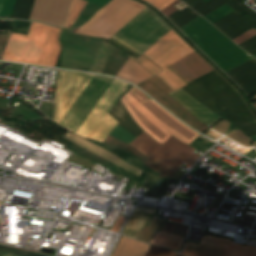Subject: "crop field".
I'll return each instance as SVG.
<instances>
[{
    "instance_id": "15",
    "label": "crop field",
    "mask_w": 256,
    "mask_h": 256,
    "mask_svg": "<svg viewBox=\"0 0 256 256\" xmlns=\"http://www.w3.org/2000/svg\"><path fill=\"white\" fill-rule=\"evenodd\" d=\"M214 25L232 40L248 29L256 28V14L249 9L239 15L233 11Z\"/></svg>"
},
{
    "instance_id": "7",
    "label": "crop field",
    "mask_w": 256,
    "mask_h": 256,
    "mask_svg": "<svg viewBox=\"0 0 256 256\" xmlns=\"http://www.w3.org/2000/svg\"><path fill=\"white\" fill-rule=\"evenodd\" d=\"M170 30L145 8L111 38L141 55Z\"/></svg>"
},
{
    "instance_id": "13",
    "label": "crop field",
    "mask_w": 256,
    "mask_h": 256,
    "mask_svg": "<svg viewBox=\"0 0 256 256\" xmlns=\"http://www.w3.org/2000/svg\"><path fill=\"white\" fill-rule=\"evenodd\" d=\"M108 80V77L94 75L59 124L71 131Z\"/></svg>"
},
{
    "instance_id": "3",
    "label": "crop field",
    "mask_w": 256,
    "mask_h": 256,
    "mask_svg": "<svg viewBox=\"0 0 256 256\" xmlns=\"http://www.w3.org/2000/svg\"><path fill=\"white\" fill-rule=\"evenodd\" d=\"M145 99L148 98L138 89L133 87L121 101L127 108L131 117L136 121V123L159 143L162 144L170 135L165 132L158 124L170 132L174 137L187 144H189L198 136V134L185 127L152 100L140 103L165 126L190 142L173 133L162 123H160L153 115H151L144 107L137 103Z\"/></svg>"
},
{
    "instance_id": "35",
    "label": "crop field",
    "mask_w": 256,
    "mask_h": 256,
    "mask_svg": "<svg viewBox=\"0 0 256 256\" xmlns=\"http://www.w3.org/2000/svg\"><path fill=\"white\" fill-rule=\"evenodd\" d=\"M253 57H255V58H256V55H255V56H253Z\"/></svg>"
},
{
    "instance_id": "33",
    "label": "crop field",
    "mask_w": 256,
    "mask_h": 256,
    "mask_svg": "<svg viewBox=\"0 0 256 256\" xmlns=\"http://www.w3.org/2000/svg\"><path fill=\"white\" fill-rule=\"evenodd\" d=\"M3 3H4V0H0V13H1V9H2Z\"/></svg>"
},
{
    "instance_id": "10",
    "label": "crop field",
    "mask_w": 256,
    "mask_h": 256,
    "mask_svg": "<svg viewBox=\"0 0 256 256\" xmlns=\"http://www.w3.org/2000/svg\"><path fill=\"white\" fill-rule=\"evenodd\" d=\"M92 76L91 74L58 70L53 121L59 122Z\"/></svg>"
},
{
    "instance_id": "16",
    "label": "crop field",
    "mask_w": 256,
    "mask_h": 256,
    "mask_svg": "<svg viewBox=\"0 0 256 256\" xmlns=\"http://www.w3.org/2000/svg\"><path fill=\"white\" fill-rule=\"evenodd\" d=\"M133 59L141 64L143 67H145L153 75L163 71L154 64H152L147 58L142 55L137 59L130 56L128 61L124 63L121 70L117 74V77L137 84L153 76L141 66H139Z\"/></svg>"
},
{
    "instance_id": "5",
    "label": "crop field",
    "mask_w": 256,
    "mask_h": 256,
    "mask_svg": "<svg viewBox=\"0 0 256 256\" xmlns=\"http://www.w3.org/2000/svg\"><path fill=\"white\" fill-rule=\"evenodd\" d=\"M129 145L148 157L144 164L160 173L162 177L171 178L183 162L192 166L200 157L193 153L195 149L171 136L159 145L143 132Z\"/></svg>"
},
{
    "instance_id": "14",
    "label": "crop field",
    "mask_w": 256,
    "mask_h": 256,
    "mask_svg": "<svg viewBox=\"0 0 256 256\" xmlns=\"http://www.w3.org/2000/svg\"><path fill=\"white\" fill-rule=\"evenodd\" d=\"M164 221L165 219L156 215H154L153 218H150L133 214L121 234L149 243Z\"/></svg>"
},
{
    "instance_id": "17",
    "label": "crop field",
    "mask_w": 256,
    "mask_h": 256,
    "mask_svg": "<svg viewBox=\"0 0 256 256\" xmlns=\"http://www.w3.org/2000/svg\"><path fill=\"white\" fill-rule=\"evenodd\" d=\"M169 67L187 82L214 70L195 51Z\"/></svg>"
},
{
    "instance_id": "36",
    "label": "crop field",
    "mask_w": 256,
    "mask_h": 256,
    "mask_svg": "<svg viewBox=\"0 0 256 256\" xmlns=\"http://www.w3.org/2000/svg\"><path fill=\"white\" fill-rule=\"evenodd\" d=\"M255 106H256V103H255Z\"/></svg>"
},
{
    "instance_id": "19",
    "label": "crop field",
    "mask_w": 256,
    "mask_h": 256,
    "mask_svg": "<svg viewBox=\"0 0 256 256\" xmlns=\"http://www.w3.org/2000/svg\"><path fill=\"white\" fill-rule=\"evenodd\" d=\"M162 230L178 233L184 235V232L186 230V227L180 226V225H174V224H168L164 223V225L161 227ZM160 230L157 235L152 239L150 244L162 246L165 248L173 249V250H179L182 242H183V236L162 231Z\"/></svg>"
},
{
    "instance_id": "27",
    "label": "crop field",
    "mask_w": 256,
    "mask_h": 256,
    "mask_svg": "<svg viewBox=\"0 0 256 256\" xmlns=\"http://www.w3.org/2000/svg\"><path fill=\"white\" fill-rule=\"evenodd\" d=\"M109 135H111L127 144H129L135 138L118 125L114 128V130Z\"/></svg>"
},
{
    "instance_id": "8",
    "label": "crop field",
    "mask_w": 256,
    "mask_h": 256,
    "mask_svg": "<svg viewBox=\"0 0 256 256\" xmlns=\"http://www.w3.org/2000/svg\"><path fill=\"white\" fill-rule=\"evenodd\" d=\"M176 35L171 30L143 53L144 56L164 70L157 75L174 90L187 85V83L167 66L194 51Z\"/></svg>"
},
{
    "instance_id": "26",
    "label": "crop field",
    "mask_w": 256,
    "mask_h": 256,
    "mask_svg": "<svg viewBox=\"0 0 256 256\" xmlns=\"http://www.w3.org/2000/svg\"><path fill=\"white\" fill-rule=\"evenodd\" d=\"M113 81L114 79L110 78V80L107 82L102 91L99 93L94 102L91 104V106L88 108L86 113L83 115V117L80 119V121L77 123V125L73 128L71 132L75 133V131L78 129V127L81 125V123L84 121V119L87 117V115L90 113V111L93 109V107L96 105V103L99 101V99L102 97V95L105 93V91L108 89V87L111 85Z\"/></svg>"
},
{
    "instance_id": "21",
    "label": "crop field",
    "mask_w": 256,
    "mask_h": 256,
    "mask_svg": "<svg viewBox=\"0 0 256 256\" xmlns=\"http://www.w3.org/2000/svg\"><path fill=\"white\" fill-rule=\"evenodd\" d=\"M210 129L248 147L251 148V142L252 139L249 138L247 135H245L243 132H241L239 129L234 127L232 124L227 122L225 119L219 121L217 124H215ZM247 148V149H248ZM250 150V149H249Z\"/></svg>"
},
{
    "instance_id": "2",
    "label": "crop field",
    "mask_w": 256,
    "mask_h": 256,
    "mask_svg": "<svg viewBox=\"0 0 256 256\" xmlns=\"http://www.w3.org/2000/svg\"><path fill=\"white\" fill-rule=\"evenodd\" d=\"M60 31L33 23L28 37L11 33L2 60L54 67L61 48Z\"/></svg>"
},
{
    "instance_id": "23",
    "label": "crop field",
    "mask_w": 256,
    "mask_h": 256,
    "mask_svg": "<svg viewBox=\"0 0 256 256\" xmlns=\"http://www.w3.org/2000/svg\"><path fill=\"white\" fill-rule=\"evenodd\" d=\"M197 15L195 12H193L188 7L179 11H175L173 14H171L169 17H167L172 23H174L179 29L182 28L184 25L192 21L194 18H196Z\"/></svg>"
},
{
    "instance_id": "28",
    "label": "crop field",
    "mask_w": 256,
    "mask_h": 256,
    "mask_svg": "<svg viewBox=\"0 0 256 256\" xmlns=\"http://www.w3.org/2000/svg\"><path fill=\"white\" fill-rule=\"evenodd\" d=\"M146 256H179L169 250L150 246Z\"/></svg>"
},
{
    "instance_id": "32",
    "label": "crop field",
    "mask_w": 256,
    "mask_h": 256,
    "mask_svg": "<svg viewBox=\"0 0 256 256\" xmlns=\"http://www.w3.org/2000/svg\"><path fill=\"white\" fill-rule=\"evenodd\" d=\"M178 2H180V1L179 0L174 1L172 4H170L168 7H166L161 12H163L166 15V17L169 16L171 13H173L175 10H177L172 5H174V4L178 3Z\"/></svg>"
},
{
    "instance_id": "37",
    "label": "crop field",
    "mask_w": 256,
    "mask_h": 256,
    "mask_svg": "<svg viewBox=\"0 0 256 256\" xmlns=\"http://www.w3.org/2000/svg\"><path fill=\"white\" fill-rule=\"evenodd\" d=\"M183 1V0H182Z\"/></svg>"
},
{
    "instance_id": "22",
    "label": "crop field",
    "mask_w": 256,
    "mask_h": 256,
    "mask_svg": "<svg viewBox=\"0 0 256 256\" xmlns=\"http://www.w3.org/2000/svg\"><path fill=\"white\" fill-rule=\"evenodd\" d=\"M114 46L106 43L102 40L101 45L94 57L92 65L89 71L101 73L104 67L105 61Z\"/></svg>"
},
{
    "instance_id": "34",
    "label": "crop field",
    "mask_w": 256,
    "mask_h": 256,
    "mask_svg": "<svg viewBox=\"0 0 256 256\" xmlns=\"http://www.w3.org/2000/svg\"><path fill=\"white\" fill-rule=\"evenodd\" d=\"M4 254V253H3ZM3 256V255H2ZM4 256H15V255H11V254H7L5 253Z\"/></svg>"
},
{
    "instance_id": "9",
    "label": "crop field",
    "mask_w": 256,
    "mask_h": 256,
    "mask_svg": "<svg viewBox=\"0 0 256 256\" xmlns=\"http://www.w3.org/2000/svg\"><path fill=\"white\" fill-rule=\"evenodd\" d=\"M126 86L127 83L115 79L76 134L102 142L118 123L107 113Z\"/></svg>"
},
{
    "instance_id": "20",
    "label": "crop field",
    "mask_w": 256,
    "mask_h": 256,
    "mask_svg": "<svg viewBox=\"0 0 256 256\" xmlns=\"http://www.w3.org/2000/svg\"><path fill=\"white\" fill-rule=\"evenodd\" d=\"M65 135L67 136L65 139L110 160L111 162L119 165L120 167L132 172L136 176L139 177V175L141 174L140 170H138L135 167L131 166L130 164L124 162L123 160L119 159L118 157L114 156L113 154L85 141L84 139H82L78 136H75L73 134H70V133L69 134L66 133Z\"/></svg>"
},
{
    "instance_id": "1",
    "label": "crop field",
    "mask_w": 256,
    "mask_h": 256,
    "mask_svg": "<svg viewBox=\"0 0 256 256\" xmlns=\"http://www.w3.org/2000/svg\"><path fill=\"white\" fill-rule=\"evenodd\" d=\"M188 84L182 88L214 113L224 117L250 137L256 135V120L253 115L239 94L215 70Z\"/></svg>"
},
{
    "instance_id": "12",
    "label": "crop field",
    "mask_w": 256,
    "mask_h": 256,
    "mask_svg": "<svg viewBox=\"0 0 256 256\" xmlns=\"http://www.w3.org/2000/svg\"><path fill=\"white\" fill-rule=\"evenodd\" d=\"M154 99H156L160 104L178 116L187 124L192 127L202 131L208 127L203 125L197 119H195L189 112L182 108L178 103L171 99L167 93L173 91L164 81H162L157 75L136 85Z\"/></svg>"
},
{
    "instance_id": "4",
    "label": "crop field",
    "mask_w": 256,
    "mask_h": 256,
    "mask_svg": "<svg viewBox=\"0 0 256 256\" xmlns=\"http://www.w3.org/2000/svg\"><path fill=\"white\" fill-rule=\"evenodd\" d=\"M180 30L225 72L253 58L200 16Z\"/></svg>"
},
{
    "instance_id": "18",
    "label": "crop field",
    "mask_w": 256,
    "mask_h": 256,
    "mask_svg": "<svg viewBox=\"0 0 256 256\" xmlns=\"http://www.w3.org/2000/svg\"><path fill=\"white\" fill-rule=\"evenodd\" d=\"M169 96H171L176 102H178L182 107L192 113L208 127L217 120L221 119L181 88L169 93Z\"/></svg>"
},
{
    "instance_id": "6",
    "label": "crop field",
    "mask_w": 256,
    "mask_h": 256,
    "mask_svg": "<svg viewBox=\"0 0 256 256\" xmlns=\"http://www.w3.org/2000/svg\"><path fill=\"white\" fill-rule=\"evenodd\" d=\"M144 8L132 0H112L75 33L108 39Z\"/></svg>"
},
{
    "instance_id": "31",
    "label": "crop field",
    "mask_w": 256,
    "mask_h": 256,
    "mask_svg": "<svg viewBox=\"0 0 256 256\" xmlns=\"http://www.w3.org/2000/svg\"><path fill=\"white\" fill-rule=\"evenodd\" d=\"M9 34H10V31H8L7 36L0 35V58L2 57V54L4 52Z\"/></svg>"
},
{
    "instance_id": "30",
    "label": "crop field",
    "mask_w": 256,
    "mask_h": 256,
    "mask_svg": "<svg viewBox=\"0 0 256 256\" xmlns=\"http://www.w3.org/2000/svg\"><path fill=\"white\" fill-rule=\"evenodd\" d=\"M255 34H256V30L252 28L232 41L238 45L243 41L249 39L250 37L254 36Z\"/></svg>"
},
{
    "instance_id": "11",
    "label": "crop field",
    "mask_w": 256,
    "mask_h": 256,
    "mask_svg": "<svg viewBox=\"0 0 256 256\" xmlns=\"http://www.w3.org/2000/svg\"><path fill=\"white\" fill-rule=\"evenodd\" d=\"M232 241L203 235L200 244L186 242L182 254L191 256H256L255 247L235 244Z\"/></svg>"
},
{
    "instance_id": "24",
    "label": "crop field",
    "mask_w": 256,
    "mask_h": 256,
    "mask_svg": "<svg viewBox=\"0 0 256 256\" xmlns=\"http://www.w3.org/2000/svg\"><path fill=\"white\" fill-rule=\"evenodd\" d=\"M103 143L109 144V145H113L119 148H122L124 150H126L128 153H130L131 155H133L134 157H136L138 160H140L141 162H145L148 158L142 156L141 154H139L137 151H135L134 149H132L131 147H129L128 145H126L125 143L111 137V136H107L106 139L103 141Z\"/></svg>"
},
{
    "instance_id": "25",
    "label": "crop field",
    "mask_w": 256,
    "mask_h": 256,
    "mask_svg": "<svg viewBox=\"0 0 256 256\" xmlns=\"http://www.w3.org/2000/svg\"><path fill=\"white\" fill-rule=\"evenodd\" d=\"M85 4H86V1H83V0L72 1L67 20L63 25L64 27L69 28L72 25V23L74 22V20L76 19V17L78 16V14L80 13V11L82 10Z\"/></svg>"
},
{
    "instance_id": "29",
    "label": "crop field",
    "mask_w": 256,
    "mask_h": 256,
    "mask_svg": "<svg viewBox=\"0 0 256 256\" xmlns=\"http://www.w3.org/2000/svg\"><path fill=\"white\" fill-rule=\"evenodd\" d=\"M152 5H154L158 10L164 9L166 6H168L170 3H172L174 0H145Z\"/></svg>"
}]
</instances>
